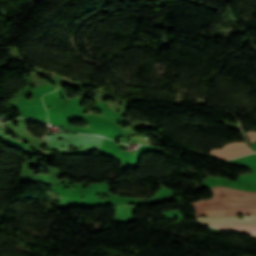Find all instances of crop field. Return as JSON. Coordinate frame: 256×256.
<instances>
[{
    "mask_svg": "<svg viewBox=\"0 0 256 256\" xmlns=\"http://www.w3.org/2000/svg\"><path fill=\"white\" fill-rule=\"evenodd\" d=\"M211 153L216 157L232 159L252 153V151L247 147L245 142H240L228 144L223 149L212 150Z\"/></svg>",
    "mask_w": 256,
    "mask_h": 256,
    "instance_id": "1",
    "label": "crop field"
},
{
    "mask_svg": "<svg viewBox=\"0 0 256 256\" xmlns=\"http://www.w3.org/2000/svg\"><path fill=\"white\" fill-rule=\"evenodd\" d=\"M197 220L206 225H219V224H256V216H244L243 219L238 217L230 218H209V217H196Z\"/></svg>",
    "mask_w": 256,
    "mask_h": 256,
    "instance_id": "2",
    "label": "crop field"
},
{
    "mask_svg": "<svg viewBox=\"0 0 256 256\" xmlns=\"http://www.w3.org/2000/svg\"><path fill=\"white\" fill-rule=\"evenodd\" d=\"M215 227L231 229L238 232L256 233V225H221Z\"/></svg>",
    "mask_w": 256,
    "mask_h": 256,
    "instance_id": "3",
    "label": "crop field"
},
{
    "mask_svg": "<svg viewBox=\"0 0 256 256\" xmlns=\"http://www.w3.org/2000/svg\"><path fill=\"white\" fill-rule=\"evenodd\" d=\"M251 141H256V132H246Z\"/></svg>",
    "mask_w": 256,
    "mask_h": 256,
    "instance_id": "4",
    "label": "crop field"
},
{
    "mask_svg": "<svg viewBox=\"0 0 256 256\" xmlns=\"http://www.w3.org/2000/svg\"><path fill=\"white\" fill-rule=\"evenodd\" d=\"M251 236H253V237H255V238H256V234H255V235H251Z\"/></svg>",
    "mask_w": 256,
    "mask_h": 256,
    "instance_id": "5",
    "label": "crop field"
}]
</instances>
